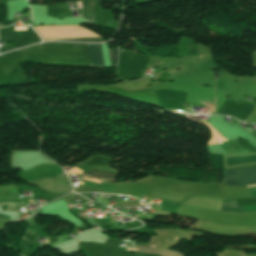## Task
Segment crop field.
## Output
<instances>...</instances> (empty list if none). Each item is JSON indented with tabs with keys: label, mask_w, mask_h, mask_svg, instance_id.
Here are the masks:
<instances>
[{
	"label": "crop field",
	"mask_w": 256,
	"mask_h": 256,
	"mask_svg": "<svg viewBox=\"0 0 256 256\" xmlns=\"http://www.w3.org/2000/svg\"><path fill=\"white\" fill-rule=\"evenodd\" d=\"M225 185L244 186L256 184V167L223 170Z\"/></svg>",
	"instance_id": "1"
},
{
	"label": "crop field",
	"mask_w": 256,
	"mask_h": 256,
	"mask_svg": "<svg viewBox=\"0 0 256 256\" xmlns=\"http://www.w3.org/2000/svg\"><path fill=\"white\" fill-rule=\"evenodd\" d=\"M90 67H103L101 45H87Z\"/></svg>",
	"instance_id": "2"
},
{
	"label": "crop field",
	"mask_w": 256,
	"mask_h": 256,
	"mask_svg": "<svg viewBox=\"0 0 256 256\" xmlns=\"http://www.w3.org/2000/svg\"><path fill=\"white\" fill-rule=\"evenodd\" d=\"M222 211H229L235 213L256 212V206H237L236 200L224 199Z\"/></svg>",
	"instance_id": "3"
},
{
	"label": "crop field",
	"mask_w": 256,
	"mask_h": 256,
	"mask_svg": "<svg viewBox=\"0 0 256 256\" xmlns=\"http://www.w3.org/2000/svg\"><path fill=\"white\" fill-rule=\"evenodd\" d=\"M77 7L81 8V1H76ZM83 17L94 23V0L82 1Z\"/></svg>",
	"instance_id": "4"
},
{
	"label": "crop field",
	"mask_w": 256,
	"mask_h": 256,
	"mask_svg": "<svg viewBox=\"0 0 256 256\" xmlns=\"http://www.w3.org/2000/svg\"><path fill=\"white\" fill-rule=\"evenodd\" d=\"M82 173L95 175V176H100V177L111 178V179H114V177L116 175L114 173H108V172H103V171H98V170L87 169V168H84Z\"/></svg>",
	"instance_id": "5"
},
{
	"label": "crop field",
	"mask_w": 256,
	"mask_h": 256,
	"mask_svg": "<svg viewBox=\"0 0 256 256\" xmlns=\"http://www.w3.org/2000/svg\"><path fill=\"white\" fill-rule=\"evenodd\" d=\"M102 50H103L104 66H109L108 53H107V46H106V44L102 45Z\"/></svg>",
	"instance_id": "6"
},
{
	"label": "crop field",
	"mask_w": 256,
	"mask_h": 256,
	"mask_svg": "<svg viewBox=\"0 0 256 256\" xmlns=\"http://www.w3.org/2000/svg\"><path fill=\"white\" fill-rule=\"evenodd\" d=\"M250 187H251V191H252L253 197H256V185L250 186ZM247 188H248L249 196H250V198H251L252 196H251V192H250L249 186H247Z\"/></svg>",
	"instance_id": "7"
},
{
	"label": "crop field",
	"mask_w": 256,
	"mask_h": 256,
	"mask_svg": "<svg viewBox=\"0 0 256 256\" xmlns=\"http://www.w3.org/2000/svg\"><path fill=\"white\" fill-rule=\"evenodd\" d=\"M0 219L9 221L10 217L9 216L0 215Z\"/></svg>",
	"instance_id": "8"
},
{
	"label": "crop field",
	"mask_w": 256,
	"mask_h": 256,
	"mask_svg": "<svg viewBox=\"0 0 256 256\" xmlns=\"http://www.w3.org/2000/svg\"><path fill=\"white\" fill-rule=\"evenodd\" d=\"M2 203H7V202H2ZM13 203H19V202H13ZM13 203H8V204H13ZM1 204V203H0ZM20 204V203H19ZM22 204V203H21ZM18 205V204H17Z\"/></svg>",
	"instance_id": "9"
},
{
	"label": "crop field",
	"mask_w": 256,
	"mask_h": 256,
	"mask_svg": "<svg viewBox=\"0 0 256 256\" xmlns=\"http://www.w3.org/2000/svg\"><path fill=\"white\" fill-rule=\"evenodd\" d=\"M126 250L136 251V249H126Z\"/></svg>",
	"instance_id": "10"
},
{
	"label": "crop field",
	"mask_w": 256,
	"mask_h": 256,
	"mask_svg": "<svg viewBox=\"0 0 256 256\" xmlns=\"http://www.w3.org/2000/svg\"><path fill=\"white\" fill-rule=\"evenodd\" d=\"M30 202H32V200H29Z\"/></svg>",
	"instance_id": "11"
}]
</instances>
